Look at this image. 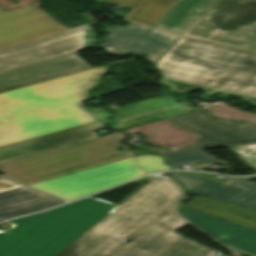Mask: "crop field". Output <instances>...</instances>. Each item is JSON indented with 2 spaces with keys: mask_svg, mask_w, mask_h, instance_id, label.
<instances>
[{
  "mask_svg": "<svg viewBox=\"0 0 256 256\" xmlns=\"http://www.w3.org/2000/svg\"><path fill=\"white\" fill-rule=\"evenodd\" d=\"M177 186L168 179L156 177L116 210L83 234L57 256H158L180 235L157 220L174 211L173 198ZM152 217L118 241L163 204Z\"/></svg>",
  "mask_w": 256,
  "mask_h": 256,
  "instance_id": "obj_1",
  "label": "crop field"
},
{
  "mask_svg": "<svg viewBox=\"0 0 256 256\" xmlns=\"http://www.w3.org/2000/svg\"><path fill=\"white\" fill-rule=\"evenodd\" d=\"M106 67L0 94V147L95 121L77 103Z\"/></svg>",
  "mask_w": 256,
  "mask_h": 256,
  "instance_id": "obj_2",
  "label": "crop field"
},
{
  "mask_svg": "<svg viewBox=\"0 0 256 256\" xmlns=\"http://www.w3.org/2000/svg\"><path fill=\"white\" fill-rule=\"evenodd\" d=\"M178 91L220 90L256 104V53L181 37L155 63Z\"/></svg>",
  "mask_w": 256,
  "mask_h": 256,
  "instance_id": "obj_3",
  "label": "crop field"
},
{
  "mask_svg": "<svg viewBox=\"0 0 256 256\" xmlns=\"http://www.w3.org/2000/svg\"><path fill=\"white\" fill-rule=\"evenodd\" d=\"M92 23L67 29L33 3L0 5V74L92 47Z\"/></svg>",
  "mask_w": 256,
  "mask_h": 256,
  "instance_id": "obj_4",
  "label": "crop field"
},
{
  "mask_svg": "<svg viewBox=\"0 0 256 256\" xmlns=\"http://www.w3.org/2000/svg\"><path fill=\"white\" fill-rule=\"evenodd\" d=\"M119 205L92 197L10 221L0 256H55Z\"/></svg>",
  "mask_w": 256,
  "mask_h": 256,
  "instance_id": "obj_5",
  "label": "crop field"
},
{
  "mask_svg": "<svg viewBox=\"0 0 256 256\" xmlns=\"http://www.w3.org/2000/svg\"><path fill=\"white\" fill-rule=\"evenodd\" d=\"M120 140L114 133L98 139L62 147L32 157L0 165L2 177L28 185L113 160L104 152L114 149Z\"/></svg>",
  "mask_w": 256,
  "mask_h": 256,
  "instance_id": "obj_6",
  "label": "crop field"
},
{
  "mask_svg": "<svg viewBox=\"0 0 256 256\" xmlns=\"http://www.w3.org/2000/svg\"><path fill=\"white\" fill-rule=\"evenodd\" d=\"M183 35L256 51V0H216Z\"/></svg>",
  "mask_w": 256,
  "mask_h": 256,
  "instance_id": "obj_7",
  "label": "crop field"
},
{
  "mask_svg": "<svg viewBox=\"0 0 256 256\" xmlns=\"http://www.w3.org/2000/svg\"><path fill=\"white\" fill-rule=\"evenodd\" d=\"M161 121L197 136L193 144L165 149L195 146L207 149L256 143V126L248 122L218 119L202 109Z\"/></svg>",
  "mask_w": 256,
  "mask_h": 256,
  "instance_id": "obj_8",
  "label": "crop field"
},
{
  "mask_svg": "<svg viewBox=\"0 0 256 256\" xmlns=\"http://www.w3.org/2000/svg\"><path fill=\"white\" fill-rule=\"evenodd\" d=\"M146 174L131 157L29 186L71 200Z\"/></svg>",
  "mask_w": 256,
  "mask_h": 256,
  "instance_id": "obj_9",
  "label": "crop field"
},
{
  "mask_svg": "<svg viewBox=\"0 0 256 256\" xmlns=\"http://www.w3.org/2000/svg\"><path fill=\"white\" fill-rule=\"evenodd\" d=\"M109 37L100 45L109 53L126 51L143 53L154 63L181 36L158 31L135 23L127 26H112L106 29Z\"/></svg>",
  "mask_w": 256,
  "mask_h": 256,
  "instance_id": "obj_10",
  "label": "crop field"
},
{
  "mask_svg": "<svg viewBox=\"0 0 256 256\" xmlns=\"http://www.w3.org/2000/svg\"><path fill=\"white\" fill-rule=\"evenodd\" d=\"M80 58L74 53L1 74L0 93L92 68Z\"/></svg>",
  "mask_w": 256,
  "mask_h": 256,
  "instance_id": "obj_11",
  "label": "crop field"
},
{
  "mask_svg": "<svg viewBox=\"0 0 256 256\" xmlns=\"http://www.w3.org/2000/svg\"><path fill=\"white\" fill-rule=\"evenodd\" d=\"M97 121L0 148V164L65 145L97 138L92 131L102 128Z\"/></svg>",
  "mask_w": 256,
  "mask_h": 256,
  "instance_id": "obj_12",
  "label": "crop field"
},
{
  "mask_svg": "<svg viewBox=\"0 0 256 256\" xmlns=\"http://www.w3.org/2000/svg\"><path fill=\"white\" fill-rule=\"evenodd\" d=\"M179 215L204 230L222 244L256 255V231L235 225L218 217L192 210L186 204L177 209Z\"/></svg>",
  "mask_w": 256,
  "mask_h": 256,
  "instance_id": "obj_13",
  "label": "crop field"
},
{
  "mask_svg": "<svg viewBox=\"0 0 256 256\" xmlns=\"http://www.w3.org/2000/svg\"><path fill=\"white\" fill-rule=\"evenodd\" d=\"M171 177L182 183L188 193L205 195L227 203L256 188V183L237 178H230L221 185L183 172L173 173Z\"/></svg>",
  "mask_w": 256,
  "mask_h": 256,
  "instance_id": "obj_14",
  "label": "crop field"
},
{
  "mask_svg": "<svg viewBox=\"0 0 256 256\" xmlns=\"http://www.w3.org/2000/svg\"><path fill=\"white\" fill-rule=\"evenodd\" d=\"M65 201L26 187L0 193V221L47 209Z\"/></svg>",
  "mask_w": 256,
  "mask_h": 256,
  "instance_id": "obj_15",
  "label": "crop field"
},
{
  "mask_svg": "<svg viewBox=\"0 0 256 256\" xmlns=\"http://www.w3.org/2000/svg\"><path fill=\"white\" fill-rule=\"evenodd\" d=\"M215 0H178L153 27L182 35Z\"/></svg>",
  "mask_w": 256,
  "mask_h": 256,
  "instance_id": "obj_16",
  "label": "crop field"
},
{
  "mask_svg": "<svg viewBox=\"0 0 256 256\" xmlns=\"http://www.w3.org/2000/svg\"><path fill=\"white\" fill-rule=\"evenodd\" d=\"M193 209L203 211L213 216H219L231 222L256 230V213L249 212L220 201L200 196L187 203Z\"/></svg>",
  "mask_w": 256,
  "mask_h": 256,
  "instance_id": "obj_17",
  "label": "crop field"
},
{
  "mask_svg": "<svg viewBox=\"0 0 256 256\" xmlns=\"http://www.w3.org/2000/svg\"><path fill=\"white\" fill-rule=\"evenodd\" d=\"M152 99V98H151ZM186 103V101L177 103L175 99L171 96H163L159 98H155L148 101H143L135 104H131L124 107H119L113 109L117 112L114 118V122L110 124L111 127L117 126L120 120L129 118L134 115L158 110L164 107H171L179 104Z\"/></svg>",
  "mask_w": 256,
  "mask_h": 256,
  "instance_id": "obj_18",
  "label": "crop field"
},
{
  "mask_svg": "<svg viewBox=\"0 0 256 256\" xmlns=\"http://www.w3.org/2000/svg\"><path fill=\"white\" fill-rule=\"evenodd\" d=\"M177 0H143L127 17L152 26Z\"/></svg>",
  "mask_w": 256,
  "mask_h": 256,
  "instance_id": "obj_19",
  "label": "crop field"
},
{
  "mask_svg": "<svg viewBox=\"0 0 256 256\" xmlns=\"http://www.w3.org/2000/svg\"><path fill=\"white\" fill-rule=\"evenodd\" d=\"M214 253L215 251L182 237L159 256H212Z\"/></svg>",
  "mask_w": 256,
  "mask_h": 256,
  "instance_id": "obj_20",
  "label": "crop field"
},
{
  "mask_svg": "<svg viewBox=\"0 0 256 256\" xmlns=\"http://www.w3.org/2000/svg\"><path fill=\"white\" fill-rule=\"evenodd\" d=\"M184 112H188V110L182 106L177 108H169V109L152 112L136 118L124 120L122 121L121 125L118 128H115V130H118V131L125 130L128 128H132V127L149 123L152 121L161 120L174 115H178Z\"/></svg>",
  "mask_w": 256,
  "mask_h": 256,
  "instance_id": "obj_21",
  "label": "crop field"
},
{
  "mask_svg": "<svg viewBox=\"0 0 256 256\" xmlns=\"http://www.w3.org/2000/svg\"><path fill=\"white\" fill-rule=\"evenodd\" d=\"M137 164L150 173L172 169L162 163V158L154 155L136 157Z\"/></svg>",
  "mask_w": 256,
  "mask_h": 256,
  "instance_id": "obj_22",
  "label": "crop field"
},
{
  "mask_svg": "<svg viewBox=\"0 0 256 256\" xmlns=\"http://www.w3.org/2000/svg\"><path fill=\"white\" fill-rule=\"evenodd\" d=\"M168 163L175 167H182L183 163H190L193 167L199 166L198 162L195 160L190 151L176 152L168 154H159Z\"/></svg>",
  "mask_w": 256,
  "mask_h": 256,
  "instance_id": "obj_23",
  "label": "crop field"
},
{
  "mask_svg": "<svg viewBox=\"0 0 256 256\" xmlns=\"http://www.w3.org/2000/svg\"><path fill=\"white\" fill-rule=\"evenodd\" d=\"M229 148H231L240 157H242L250 165L256 168V144L247 146H235Z\"/></svg>",
  "mask_w": 256,
  "mask_h": 256,
  "instance_id": "obj_24",
  "label": "crop field"
},
{
  "mask_svg": "<svg viewBox=\"0 0 256 256\" xmlns=\"http://www.w3.org/2000/svg\"><path fill=\"white\" fill-rule=\"evenodd\" d=\"M229 204L256 212V189Z\"/></svg>",
  "mask_w": 256,
  "mask_h": 256,
  "instance_id": "obj_25",
  "label": "crop field"
},
{
  "mask_svg": "<svg viewBox=\"0 0 256 256\" xmlns=\"http://www.w3.org/2000/svg\"><path fill=\"white\" fill-rule=\"evenodd\" d=\"M158 222L165 224L169 227H172L176 230L182 228L183 226L189 224L187 222H185L184 220H182L180 217H178L177 215L174 214V212L170 213L169 215H167L166 217L162 218L161 220H159Z\"/></svg>",
  "mask_w": 256,
  "mask_h": 256,
  "instance_id": "obj_26",
  "label": "crop field"
},
{
  "mask_svg": "<svg viewBox=\"0 0 256 256\" xmlns=\"http://www.w3.org/2000/svg\"><path fill=\"white\" fill-rule=\"evenodd\" d=\"M191 153L194 155L199 164L218 161V159L208 155L209 153L207 154L203 150L191 151Z\"/></svg>",
  "mask_w": 256,
  "mask_h": 256,
  "instance_id": "obj_27",
  "label": "crop field"
},
{
  "mask_svg": "<svg viewBox=\"0 0 256 256\" xmlns=\"http://www.w3.org/2000/svg\"><path fill=\"white\" fill-rule=\"evenodd\" d=\"M114 161L116 160H120V159H123V158H127V157H131V155L126 152V153H121V152H118V151H115V150H111V151H107L106 152Z\"/></svg>",
  "mask_w": 256,
  "mask_h": 256,
  "instance_id": "obj_28",
  "label": "crop field"
},
{
  "mask_svg": "<svg viewBox=\"0 0 256 256\" xmlns=\"http://www.w3.org/2000/svg\"><path fill=\"white\" fill-rule=\"evenodd\" d=\"M18 187H22V186L0 179V192L11 190Z\"/></svg>",
  "mask_w": 256,
  "mask_h": 256,
  "instance_id": "obj_29",
  "label": "crop field"
},
{
  "mask_svg": "<svg viewBox=\"0 0 256 256\" xmlns=\"http://www.w3.org/2000/svg\"><path fill=\"white\" fill-rule=\"evenodd\" d=\"M125 6L135 8L142 0H108Z\"/></svg>",
  "mask_w": 256,
  "mask_h": 256,
  "instance_id": "obj_30",
  "label": "crop field"
},
{
  "mask_svg": "<svg viewBox=\"0 0 256 256\" xmlns=\"http://www.w3.org/2000/svg\"><path fill=\"white\" fill-rule=\"evenodd\" d=\"M112 115L111 112L105 111L102 113H98L95 114L94 116L100 120L104 125H107L109 121H111L110 119H108L107 117Z\"/></svg>",
  "mask_w": 256,
  "mask_h": 256,
  "instance_id": "obj_31",
  "label": "crop field"
},
{
  "mask_svg": "<svg viewBox=\"0 0 256 256\" xmlns=\"http://www.w3.org/2000/svg\"><path fill=\"white\" fill-rule=\"evenodd\" d=\"M196 149H201V148L195 147V148L176 149V150H162V151H155V152H151V153L157 154V153H164V152H174V151H184V150H196Z\"/></svg>",
  "mask_w": 256,
  "mask_h": 256,
  "instance_id": "obj_32",
  "label": "crop field"
},
{
  "mask_svg": "<svg viewBox=\"0 0 256 256\" xmlns=\"http://www.w3.org/2000/svg\"><path fill=\"white\" fill-rule=\"evenodd\" d=\"M183 197H184V194L181 193L180 197H178V199L176 201L177 208L183 205V204H181V200L183 199Z\"/></svg>",
  "mask_w": 256,
  "mask_h": 256,
  "instance_id": "obj_33",
  "label": "crop field"
},
{
  "mask_svg": "<svg viewBox=\"0 0 256 256\" xmlns=\"http://www.w3.org/2000/svg\"><path fill=\"white\" fill-rule=\"evenodd\" d=\"M147 154H149V153L142 152V153H136V154H134V155H135V156H139V155H147Z\"/></svg>",
  "mask_w": 256,
  "mask_h": 256,
  "instance_id": "obj_34",
  "label": "crop field"
}]
</instances>
